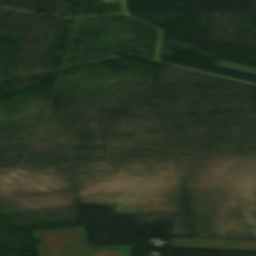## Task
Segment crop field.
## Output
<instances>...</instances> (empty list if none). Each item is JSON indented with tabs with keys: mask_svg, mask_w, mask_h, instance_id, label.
<instances>
[{
	"mask_svg": "<svg viewBox=\"0 0 256 256\" xmlns=\"http://www.w3.org/2000/svg\"><path fill=\"white\" fill-rule=\"evenodd\" d=\"M38 233L45 256H93L89 242H86L88 238L85 228L45 230Z\"/></svg>",
	"mask_w": 256,
	"mask_h": 256,
	"instance_id": "obj_1",
	"label": "crop field"
}]
</instances>
